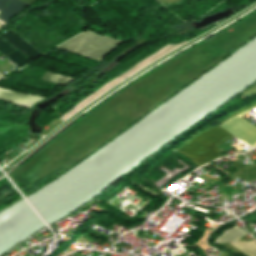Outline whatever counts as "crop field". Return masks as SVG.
I'll list each match as a JSON object with an SVG mask.
<instances>
[{
	"mask_svg": "<svg viewBox=\"0 0 256 256\" xmlns=\"http://www.w3.org/2000/svg\"><path fill=\"white\" fill-rule=\"evenodd\" d=\"M256 105V103L243 108L234 114L228 116L226 119L220 121L218 125L210 127L205 131L201 132L186 144L181 146L176 151L185 155L191 161H193L198 166L207 163L213 159L221 157L219 153L218 146L226 141L227 139L235 136L238 139L244 141L245 143L253 146L256 143V128L243 120L241 117L250 112L255 107L233 117L234 115ZM233 117L232 119H230ZM229 121L225 122L226 120ZM225 122V123H223ZM223 123V124H222ZM222 124V125H221ZM221 125V126H220ZM222 128H220V127Z\"/></svg>",
	"mask_w": 256,
	"mask_h": 256,
	"instance_id": "1",
	"label": "crop field"
},
{
	"mask_svg": "<svg viewBox=\"0 0 256 256\" xmlns=\"http://www.w3.org/2000/svg\"><path fill=\"white\" fill-rule=\"evenodd\" d=\"M244 235H246V233L235 225L224 230V232L216 238L215 243L237 242L238 239Z\"/></svg>",
	"mask_w": 256,
	"mask_h": 256,
	"instance_id": "2",
	"label": "crop field"
},
{
	"mask_svg": "<svg viewBox=\"0 0 256 256\" xmlns=\"http://www.w3.org/2000/svg\"><path fill=\"white\" fill-rule=\"evenodd\" d=\"M229 244L249 256H256V242L255 241L241 242V243H229Z\"/></svg>",
	"mask_w": 256,
	"mask_h": 256,
	"instance_id": "3",
	"label": "crop field"
}]
</instances>
